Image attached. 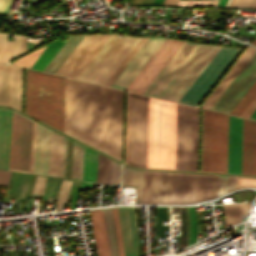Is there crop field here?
<instances>
[{"mask_svg":"<svg viewBox=\"0 0 256 256\" xmlns=\"http://www.w3.org/2000/svg\"><path fill=\"white\" fill-rule=\"evenodd\" d=\"M33 121L14 112L9 169L29 172ZM50 129L34 122L30 172L47 175Z\"/></svg>","mask_w":256,"mask_h":256,"instance_id":"crop-field-1","label":"crop field"},{"mask_svg":"<svg viewBox=\"0 0 256 256\" xmlns=\"http://www.w3.org/2000/svg\"><path fill=\"white\" fill-rule=\"evenodd\" d=\"M65 78L26 69L25 112L64 131Z\"/></svg>","mask_w":256,"mask_h":256,"instance_id":"crop-field-2","label":"crop field"},{"mask_svg":"<svg viewBox=\"0 0 256 256\" xmlns=\"http://www.w3.org/2000/svg\"><path fill=\"white\" fill-rule=\"evenodd\" d=\"M176 104L150 98L147 167L174 169Z\"/></svg>","mask_w":256,"mask_h":256,"instance_id":"crop-field-3","label":"crop field"},{"mask_svg":"<svg viewBox=\"0 0 256 256\" xmlns=\"http://www.w3.org/2000/svg\"><path fill=\"white\" fill-rule=\"evenodd\" d=\"M228 116L203 110L201 171L227 173Z\"/></svg>","mask_w":256,"mask_h":256,"instance_id":"crop-field-4","label":"crop field"},{"mask_svg":"<svg viewBox=\"0 0 256 256\" xmlns=\"http://www.w3.org/2000/svg\"><path fill=\"white\" fill-rule=\"evenodd\" d=\"M139 39L109 35L76 78L104 85Z\"/></svg>","mask_w":256,"mask_h":256,"instance_id":"crop-field-5","label":"crop field"},{"mask_svg":"<svg viewBox=\"0 0 256 256\" xmlns=\"http://www.w3.org/2000/svg\"><path fill=\"white\" fill-rule=\"evenodd\" d=\"M128 110L126 109L125 163L128 146ZM148 97L130 93L128 164L146 167Z\"/></svg>","mask_w":256,"mask_h":256,"instance_id":"crop-field-6","label":"crop field"},{"mask_svg":"<svg viewBox=\"0 0 256 256\" xmlns=\"http://www.w3.org/2000/svg\"><path fill=\"white\" fill-rule=\"evenodd\" d=\"M199 109L177 104L175 169L197 171Z\"/></svg>","mask_w":256,"mask_h":256,"instance_id":"crop-field-7","label":"crop field"},{"mask_svg":"<svg viewBox=\"0 0 256 256\" xmlns=\"http://www.w3.org/2000/svg\"><path fill=\"white\" fill-rule=\"evenodd\" d=\"M105 88L102 103L101 149L121 159L123 93L119 92L120 90Z\"/></svg>","mask_w":256,"mask_h":256,"instance_id":"crop-field-8","label":"crop field"},{"mask_svg":"<svg viewBox=\"0 0 256 256\" xmlns=\"http://www.w3.org/2000/svg\"><path fill=\"white\" fill-rule=\"evenodd\" d=\"M219 48L200 44L159 97L178 102Z\"/></svg>","mask_w":256,"mask_h":256,"instance_id":"crop-field-9","label":"crop field"},{"mask_svg":"<svg viewBox=\"0 0 256 256\" xmlns=\"http://www.w3.org/2000/svg\"><path fill=\"white\" fill-rule=\"evenodd\" d=\"M240 51L221 47L179 102L196 106Z\"/></svg>","mask_w":256,"mask_h":256,"instance_id":"crop-field-10","label":"crop field"},{"mask_svg":"<svg viewBox=\"0 0 256 256\" xmlns=\"http://www.w3.org/2000/svg\"><path fill=\"white\" fill-rule=\"evenodd\" d=\"M256 81V52L212 106V110L230 114Z\"/></svg>","mask_w":256,"mask_h":256,"instance_id":"crop-field-11","label":"crop field"},{"mask_svg":"<svg viewBox=\"0 0 256 256\" xmlns=\"http://www.w3.org/2000/svg\"><path fill=\"white\" fill-rule=\"evenodd\" d=\"M182 43V41L166 39L126 90L143 94Z\"/></svg>","mask_w":256,"mask_h":256,"instance_id":"crop-field-12","label":"crop field"},{"mask_svg":"<svg viewBox=\"0 0 256 256\" xmlns=\"http://www.w3.org/2000/svg\"><path fill=\"white\" fill-rule=\"evenodd\" d=\"M217 185L218 177L181 174L179 201H196L214 196L217 194Z\"/></svg>","mask_w":256,"mask_h":256,"instance_id":"crop-field-13","label":"crop field"},{"mask_svg":"<svg viewBox=\"0 0 256 256\" xmlns=\"http://www.w3.org/2000/svg\"><path fill=\"white\" fill-rule=\"evenodd\" d=\"M22 68L0 65V104L21 110Z\"/></svg>","mask_w":256,"mask_h":256,"instance_id":"crop-field-14","label":"crop field"},{"mask_svg":"<svg viewBox=\"0 0 256 256\" xmlns=\"http://www.w3.org/2000/svg\"><path fill=\"white\" fill-rule=\"evenodd\" d=\"M198 45L184 42L144 94L158 97Z\"/></svg>","mask_w":256,"mask_h":256,"instance_id":"crop-field-15","label":"crop field"},{"mask_svg":"<svg viewBox=\"0 0 256 256\" xmlns=\"http://www.w3.org/2000/svg\"><path fill=\"white\" fill-rule=\"evenodd\" d=\"M164 40L165 39L163 38H149L122 73L113 82L111 87L125 90Z\"/></svg>","mask_w":256,"mask_h":256,"instance_id":"crop-field-16","label":"crop field"},{"mask_svg":"<svg viewBox=\"0 0 256 256\" xmlns=\"http://www.w3.org/2000/svg\"><path fill=\"white\" fill-rule=\"evenodd\" d=\"M125 256H138L135 207H118Z\"/></svg>","mask_w":256,"mask_h":256,"instance_id":"crop-field-17","label":"crop field"},{"mask_svg":"<svg viewBox=\"0 0 256 256\" xmlns=\"http://www.w3.org/2000/svg\"><path fill=\"white\" fill-rule=\"evenodd\" d=\"M242 119L229 116L228 173H241Z\"/></svg>","mask_w":256,"mask_h":256,"instance_id":"crop-field-18","label":"crop field"},{"mask_svg":"<svg viewBox=\"0 0 256 256\" xmlns=\"http://www.w3.org/2000/svg\"><path fill=\"white\" fill-rule=\"evenodd\" d=\"M242 173L256 174V122L243 119Z\"/></svg>","mask_w":256,"mask_h":256,"instance_id":"crop-field-19","label":"crop field"},{"mask_svg":"<svg viewBox=\"0 0 256 256\" xmlns=\"http://www.w3.org/2000/svg\"><path fill=\"white\" fill-rule=\"evenodd\" d=\"M66 138L51 131L48 175L63 178Z\"/></svg>","mask_w":256,"mask_h":256,"instance_id":"crop-field-20","label":"crop field"},{"mask_svg":"<svg viewBox=\"0 0 256 256\" xmlns=\"http://www.w3.org/2000/svg\"><path fill=\"white\" fill-rule=\"evenodd\" d=\"M12 111L0 108V168L8 169Z\"/></svg>","mask_w":256,"mask_h":256,"instance_id":"crop-field-21","label":"crop field"},{"mask_svg":"<svg viewBox=\"0 0 256 256\" xmlns=\"http://www.w3.org/2000/svg\"><path fill=\"white\" fill-rule=\"evenodd\" d=\"M98 256H110L101 209L89 211Z\"/></svg>","mask_w":256,"mask_h":256,"instance_id":"crop-field-22","label":"crop field"},{"mask_svg":"<svg viewBox=\"0 0 256 256\" xmlns=\"http://www.w3.org/2000/svg\"><path fill=\"white\" fill-rule=\"evenodd\" d=\"M99 36L100 35L85 36L56 73L68 76Z\"/></svg>","mask_w":256,"mask_h":256,"instance_id":"crop-field-23","label":"crop field"},{"mask_svg":"<svg viewBox=\"0 0 256 256\" xmlns=\"http://www.w3.org/2000/svg\"><path fill=\"white\" fill-rule=\"evenodd\" d=\"M26 50L25 37L15 35V41H7L6 34L0 33V63H6Z\"/></svg>","mask_w":256,"mask_h":256,"instance_id":"crop-field-24","label":"crop field"},{"mask_svg":"<svg viewBox=\"0 0 256 256\" xmlns=\"http://www.w3.org/2000/svg\"><path fill=\"white\" fill-rule=\"evenodd\" d=\"M248 47H250V46H248ZM247 47V48H248ZM251 48H253V47H251ZM256 49V48H255ZM246 51V50H245ZM244 51V52H245ZM254 49H250V48H248L247 49V51L243 54V56L239 59V61L235 64V66L231 69V71L227 74V76L224 78V80L220 83V85L216 88V90L212 93V95L208 98V100L204 103V107H208V108H210L211 107V105L215 102V100L219 97V95L223 92V90L227 87V85L231 82V80L234 78V76L238 73V71L242 68V66L246 63V61L250 58V56L254 53ZM203 108V107H202Z\"/></svg>","mask_w":256,"mask_h":256,"instance_id":"crop-field-25","label":"crop field"},{"mask_svg":"<svg viewBox=\"0 0 256 256\" xmlns=\"http://www.w3.org/2000/svg\"><path fill=\"white\" fill-rule=\"evenodd\" d=\"M84 36H72L64 43L54 57L43 69L44 71L55 73L56 70L61 66L69 54L74 50L78 43L83 39Z\"/></svg>","mask_w":256,"mask_h":256,"instance_id":"crop-field-26","label":"crop field"},{"mask_svg":"<svg viewBox=\"0 0 256 256\" xmlns=\"http://www.w3.org/2000/svg\"><path fill=\"white\" fill-rule=\"evenodd\" d=\"M98 153L85 147L82 180L96 182Z\"/></svg>","mask_w":256,"mask_h":256,"instance_id":"crop-field-27","label":"crop field"},{"mask_svg":"<svg viewBox=\"0 0 256 256\" xmlns=\"http://www.w3.org/2000/svg\"><path fill=\"white\" fill-rule=\"evenodd\" d=\"M249 203L225 204L224 216L226 227L241 221V214H245Z\"/></svg>","mask_w":256,"mask_h":256,"instance_id":"crop-field-28","label":"crop field"},{"mask_svg":"<svg viewBox=\"0 0 256 256\" xmlns=\"http://www.w3.org/2000/svg\"><path fill=\"white\" fill-rule=\"evenodd\" d=\"M84 146L74 141L71 178L81 180Z\"/></svg>","mask_w":256,"mask_h":256,"instance_id":"crop-field-29","label":"crop field"},{"mask_svg":"<svg viewBox=\"0 0 256 256\" xmlns=\"http://www.w3.org/2000/svg\"><path fill=\"white\" fill-rule=\"evenodd\" d=\"M159 172L148 171L146 203L158 202Z\"/></svg>","mask_w":256,"mask_h":256,"instance_id":"crop-field-30","label":"crop field"},{"mask_svg":"<svg viewBox=\"0 0 256 256\" xmlns=\"http://www.w3.org/2000/svg\"><path fill=\"white\" fill-rule=\"evenodd\" d=\"M111 159L99 154L97 182L110 184Z\"/></svg>","mask_w":256,"mask_h":256,"instance_id":"crop-field-31","label":"crop field"},{"mask_svg":"<svg viewBox=\"0 0 256 256\" xmlns=\"http://www.w3.org/2000/svg\"><path fill=\"white\" fill-rule=\"evenodd\" d=\"M64 42L61 40H57L55 42L50 43L48 48L44 51V53L40 56L37 62L33 65V69L42 70L43 67L48 63V61L53 57V55L57 52V50L62 46ZM45 68V67H44Z\"/></svg>","mask_w":256,"mask_h":256,"instance_id":"crop-field-32","label":"crop field"},{"mask_svg":"<svg viewBox=\"0 0 256 256\" xmlns=\"http://www.w3.org/2000/svg\"><path fill=\"white\" fill-rule=\"evenodd\" d=\"M166 173H169V172H166ZM172 180H173V173H172ZM170 181H171V174L160 173L159 202H169ZM171 196H172V181H171L170 203H171Z\"/></svg>","mask_w":256,"mask_h":256,"instance_id":"crop-field-33","label":"crop field"},{"mask_svg":"<svg viewBox=\"0 0 256 256\" xmlns=\"http://www.w3.org/2000/svg\"><path fill=\"white\" fill-rule=\"evenodd\" d=\"M255 97H256V82L250 88V90L246 93L243 99L239 102V104L235 107L232 113L231 112L230 113L232 115L241 116L242 113L246 110V108L250 105V103L254 100Z\"/></svg>","mask_w":256,"mask_h":256,"instance_id":"crop-field-34","label":"crop field"},{"mask_svg":"<svg viewBox=\"0 0 256 256\" xmlns=\"http://www.w3.org/2000/svg\"><path fill=\"white\" fill-rule=\"evenodd\" d=\"M108 35H101L100 38L96 41V43L91 47V49L87 52V54L83 57V59L79 62V64L74 68V70L70 73L69 77L75 78L76 75L80 72V70L84 67V65L88 62L91 56L95 53V51L99 48V46L103 43V41L107 38Z\"/></svg>","mask_w":256,"mask_h":256,"instance_id":"crop-field-35","label":"crop field"},{"mask_svg":"<svg viewBox=\"0 0 256 256\" xmlns=\"http://www.w3.org/2000/svg\"><path fill=\"white\" fill-rule=\"evenodd\" d=\"M147 39H140V41L136 44V46L132 49L129 55L125 58V60L121 63V65L117 68V70L113 73L110 79L106 82V84L111 85V83L116 79V77L120 74V72L125 68V66L129 63V61L133 58V56L137 53V51L142 47V45L146 42ZM105 84V85H106ZM107 85V86H109Z\"/></svg>","mask_w":256,"mask_h":256,"instance_id":"crop-field-36","label":"crop field"},{"mask_svg":"<svg viewBox=\"0 0 256 256\" xmlns=\"http://www.w3.org/2000/svg\"><path fill=\"white\" fill-rule=\"evenodd\" d=\"M102 211H103L105 228H106V233H107V238H108L110 255L111 256H116L113 234H112V228H111V222H110V216H109V210H108V208H105V209H102Z\"/></svg>","mask_w":256,"mask_h":256,"instance_id":"crop-field-37","label":"crop field"},{"mask_svg":"<svg viewBox=\"0 0 256 256\" xmlns=\"http://www.w3.org/2000/svg\"><path fill=\"white\" fill-rule=\"evenodd\" d=\"M47 46H44L16 61L13 62V64H17V65H21V66H25V67H29L31 68L32 65L35 63V61L38 59V57L41 55V53L44 51V49Z\"/></svg>","mask_w":256,"mask_h":256,"instance_id":"crop-field-38","label":"crop field"},{"mask_svg":"<svg viewBox=\"0 0 256 256\" xmlns=\"http://www.w3.org/2000/svg\"><path fill=\"white\" fill-rule=\"evenodd\" d=\"M71 182L72 181H69V180H62L55 211H60L62 209L63 203H66Z\"/></svg>","mask_w":256,"mask_h":256,"instance_id":"crop-field-39","label":"crop field"},{"mask_svg":"<svg viewBox=\"0 0 256 256\" xmlns=\"http://www.w3.org/2000/svg\"><path fill=\"white\" fill-rule=\"evenodd\" d=\"M71 79L66 78L65 133L69 134Z\"/></svg>","mask_w":256,"mask_h":256,"instance_id":"crop-field-40","label":"crop field"},{"mask_svg":"<svg viewBox=\"0 0 256 256\" xmlns=\"http://www.w3.org/2000/svg\"><path fill=\"white\" fill-rule=\"evenodd\" d=\"M112 211H113V217H114L119 256H124L117 207L112 208Z\"/></svg>","mask_w":256,"mask_h":256,"instance_id":"crop-field-41","label":"crop field"},{"mask_svg":"<svg viewBox=\"0 0 256 256\" xmlns=\"http://www.w3.org/2000/svg\"><path fill=\"white\" fill-rule=\"evenodd\" d=\"M256 187V178L237 177L236 189Z\"/></svg>","mask_w":256,"mask_h":256,"instance_id":"crop-field-42","label":"crop field"},{"mask_svg":"<svg viewBox=\"0 0 256 256\" xmlns=\"http://www.w3.org/2000/svg\"><path fill=\"white\" fill-rule=\"evenodd\" d=\"M121 164L112 160L111 184H119Z\"/></svg>","mask_w":256,"mask_h":256,"instance_id":"crop-field-43","label":"crop field"},{"mask_svg":"<svg viewBox=\"0 0 256 256\" xmlns=\"http://www.w3.org/2000/svg\"><path fill=\"white\" fill-rule=\"evenodd\" d=\"M47 177L37 176L33 194L42 195Z\"/></svg>","mask_w":256,"mask_h":256,"instance_id":"crop-field-44","label":"crop field"},{"mask_svg":"<svg viewBox=\"0 0 256 256\" xmlns=\"http://www.w3.org/2000/svg\"><path fill=\"white\" fill-rule=\"evenodd\" d=\"M180 173H174L172 203H178Z\"/></svg>","mask_w":256,"mask_h":256,"instance_id":"crop-field-45","label":"crop field"},{"mask_svg":"<svg viewBox=\"0 0 256 256\" xmlns=\"http://www.w3.org/2000/svg\"><path fill=\"white\" fill-rule=\"evenodd\" d=\"M253 6L256 7V0H230L227 7Z\"/></svg>","mask_w":256,"mask_h":256,"instance_id":"crop-field-46","label":"crop field"},{"mask_svg":"<svg viewBox=\"0 0 256 256\" xmlns=\"http://www.w3.org/2000/svg\"><path fill=\"white\" fill-rule=\"evenodd\" d=\"M143 171L138 170L136 203H141Z\"/></svg>","mask_w":256,"mask_h":256,"instance_id":"crop-field-47","label":"crop field"},{"mask_svg":"<svg viewBox=\"0 0 256 256\" xmlns=\"http://www.w3.org/2000/svg\"><path fill=\"white\" fill-rule=\"evenodd\" d=\"M190 215H191V244H192V243H195V236H196V219H195L194 207H190Z\"/></svg>","mask_w":256,"mask_h":256,"instance_id":"crop-field-48","label":"crop field"},{"mask_svg":"<svg viewBox=\"0 0 256 256\" xmlns=\"http://www.w3.org/2000/svg\"><path fill=\"white\" fill-rule=\"evenodd\" d=\"M228 176H219L218 196L227 192Z\"/></svg>","mask_w":256,"mask_h":256,"instance_id":"crop-field-49","label":"crop field"},{"mask_svg":"<svg viewBox=\"0 0 256 256\" xmlns=\"http://www.w3.org/2000/svg\"><path fill=\"white\" fill-rule=\"evenodd\" d=\"M137 170L128 168V182L127 186H136Z\"/></svg>","mask_w":256,"mask_h":256,"instance_id":"crop-field-50","label":"crop field"},{"mask_svg":"<svg viewBox=\"0 0 256 256\" xmlns=\"http://www.w3.org/2000/svg\"><path fill=\"white\" fill-rule=\"evenodd\" d=\"M10 173L11 172H9V171L0 170V186L8 185Z\"/></svg>","mask_w":256,"mask_h":256,"instance_id":"crop-field-51","label":"crop field"},{"mask_svg":"<svg viewBox=\"0 0 256 256\" xmlns=\"http://www.w3.org/2000/svg\"><path fill=\"white\" fill-rule=\"evenodd\" d=\"M12 0H0V14H7Z\"/></svg>","mask_w":256,"mask_h":256,"instance_id":"crop-field-52","label":"crop field"},{"mask_svg":"<svg viewBox=\"0 0 256 256\" xmlns=\"http://www.w3.org/2000/svg\"><path fill=\"white\" fill-rule=\"evenodd\" d=\"M256 108V98L255 100L251 103V105L247 108V110L243 113L242 117L248 118L249 115L253 112V110Z\"/></svg>","mask_w":256,"mask_h":256,"instance_id":"crop-field-53","label":"crop field"},{"mask_svg":"<svg viewBox=\"0 0 256 256\" xmlns=\"http://www.w3.org/2000/svg\"><path fill=\"white\" fill-rule=\"evenodd\" d=\"M147 171H144L142 203H145Z\"/></svg>","mask_w":256,"mask_h":256,"instance_id":"crop-field-54","label":"crop field"},{"mask_svg":"<svg viewBox=\"0 0 256 256\" xmlns=\"http://www.w3.org/2000/svg\"><path fill=\"white\" fill-rule=\"evenodd\" d=\"M236 177H229L228 192L235 189Z\"/></svg>","mask_w":256,"mask_h":256,"instance_id":"crop-field-55","label":"crop field"},{"mask_svg":"<svg viewBox=\"0 0 256 256\" xmlns=\"http://www.w3.org/2000/svg\"><path fill=\"white\" fill-rule=\"evenodd\" d=\"M94 184L82 182L80 191L91 189Z\"/></svg>","mask_w":256,"mask_h":256,"instance_id":"crop-field-56","label":"crop field"},{"mask_svg":"<svg viewBox=\"0 0 256 256\" xmlns=\"http://www.w3.org/2000/svg\"><path fill=\"white\" fill-rule=\"evenodd\" d=\"M127 167L123 166L122 185L126 186Z\"/></svg>","mask_w":256,"mask_h":256,"instance_id":"crop-field-57","label":"crop field"},{"mask_svg":"<svg viewBox=\"0 0 256 256\" xmlns=\"http://www.w3.org/2000/svg\"><path fill=\"white\" fill-rule=\"evenodd\" d=\"M109 210H110V216H111V222H112V228H113V234H114V240H115L116 252H117V256H118V250H117V244H116V237H115V230H114V224H113V217H112V211H111V208H109Z\"/></svg>","mask_w":256,"mask_h":256,"instance_id":"crop-field-58","label":"crop field"},{"mask_svg":"<svg viewBox=\"0 0 256 256\" xmlns=\"http://www.w3.org/2000/svg\"><path fill=\"white\" fill-rule=\"evenodd\" d=\"M178 0H164L162 4L176 5Z\"/></svg>","mask_w":256,"mask_h":256,"instance_id":"crop-field-59","label":"crop field"},{"mask_svg":"<svg viewBox=\"0 0 256 256\" xmlns=\"http://www.w3.org/2000/svg\"><path fill=\"white\" fill-rule=\"evenodd\" d=\"M144 0H131V5H142Z\"/></svg>","mask_w":256,"mask_h":256,"instance_id":"crop-field-60","label":"crop field"},{"mask_svg":"<svg viewBox=\"0 0 256 256\" xmlns=\"http://www.w3.org/2000/svg\"><path fill=\"white\" fill-rule=\"evenodd\" d=\"M228 0H220L217 6L225 7Z\"/></svg>","mask_w":256,"mask_h":256,"instance_id":"crop-field-61","label":"crop field"},{"mask_svg":"<svg viewBox=\"0 0 256 256\" xmlns=\"http://www.w3.org/2000/svg\"><path fill=\"white\" fill-rule=\"evenodd\" d=\"M249 118L256 120V109H255L254 112L250 115Z\"/></svg>","mask_w":256,"mask_h":256,"instance_id":"crop-field-62","label":"crop field"},{"mask_svg":"<svg viewBox=\"0 0 256 256\" xmlns=\"http://www.w3.org/2000/svg\"><path fill=\"white\" fill-rule=\"evenodd\" d=\"M163 0H154L152 4H161Z\"/></svg>","mask_w":256,"mask_h":256,"instance_id":"crop-field-63","label":"crop field"},{"mask_svg":"<svg viewBox=\"0 0 256 256\" xmlns=\"http://www.w3.org/2000/svg\"><path fill=\"white\" fill-rule=\"evenodd\" d=\"M252 44H255V45H256V39L253 40Z\"/></svg>","mask_w":256,"mask_h":256,"instance_id":"crop-field-64","label":"crop field"}]
</instances>
